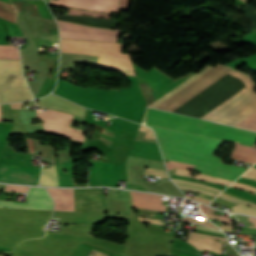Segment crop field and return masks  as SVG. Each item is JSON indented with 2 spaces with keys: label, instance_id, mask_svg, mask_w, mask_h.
<instances>
[{
  "label": "crop field",
  "instance_id": "crop-field-1",
  "mask_svg": "<svg viewBox=\"0 0 256 256\" xmlns=\"http://www.w3.org/2000/svg\"><path fill=\"white\" fill-rule=\"evenodd\" d=\"M186 133L228 141L254 148L256 133L214 123L192 119L147 108L143 121ZM145 125V124H144ZM151 126V125H146ZM151 126L164 158L196 165V171L234 181L247 169L222 164L223 158L213 156L223 142Z\"/></svg>",
  "mask_w": 256,
  "mask_h": 256
},
{
  "label": "crop field",
  "instance_id": "crop-field-2",
  "mask_svg": "<svg viewBox=\"0 0 256 256\" xmlns=\"http://www.w3.org/2000/svg\"><path fill=\"white\" fill-rule=\"evenodd\" d=\"M61 52L99 56L98 68L134 75L129 55L120 54L122 44L61 39Z\"/></svg>",
  "mask_w": 256,
  "mask_h": 256
},
{
  "label": "crop field",
  "instance_id": "crop-field-3",
  "mask_svg": "<svg viewBox=\"0 0 256 256\" xmlns=\"http://www.w3.org/2000/svg\"><path fill=\"white\" fill-rule=\"evenodd\" d=\"M0 81H24V84L23 82H0V102L19 100L22 84L23 89L20 101L31 100L33 98L22 76L20 61L0 60Z\"/></svg>",
  "mask_w": 256,
  "mask_h": 256
},
{
  "label": "crop field",
  "instance_id": "crop-field-4",
  "mask_svg": "<svg viewBox=\"0 0 256 256\" xmlns=\"http://www.w3.org/2000/svg\"><path fill=\"white\" fill-rule=\"evenodd\" d=\"M255 85L238 98L218 110L207 120L228 125H236L244 118L256 111V94L253 92Z\"/></svg>",
  "mask_w": 256,
  "mask_h": 256
},
{
  "label": "crop field",
  "instance_id": "crop-field-5",
  "mask_svg": "<svg viewBox=\"0 0 256 256\" xmlns=\"http://www.w3.org/2000/svg\"><path fill=\"white\" fill-rule=\"evenodd\" d=\"M232 69L222 65H218L208 71L206 74L198 78L196 81L185 87L183 90L172 96L170 99L162 103L157 109L174 111L179 106L190 100L192 97L203 91L205 88L213 84L215 81L226 75Z\"/></svg>",
  "mask_w": 256,
  "mask_h": 256
},
{
  "label": "crop field",
  "instance_id": "crop-field-6",
  "mask_svg": "<svg viewBox=\"0 0 256 256\" xmlns=\"http://www.w3.org/2000/svg\"><path fill=\"white\" fill-rule=\"evenodd\" d=\"M58 21V20H57ZM61 38L117 42L118 30L81 26L73 23L58 21Z\"/></svg>",
  "mask_w": 256,
  "mask_h": 256
},
{
  "label": "crop field",
  "instance_id": "crop-field-7",
  "mask_svg": "<svg viewBox=\"0 0 256 256\" xmlns=\"http://www.w3.org/2000/svg\"><path fill=\"white\" fill-rule=\"evenodd\" d=\"M37 117L43 121L44 128L47 132L81 142H84L86 138L82 135L84 132L70 128L73 118L72 115L48 110L47 112L38 113Z\"/></svg>",
  "mask_w": 256,
  "mask_h": 256
},
{
  "label": "crop field",
  "instance_id": "crop-field-8",
  "mask_svg": "<svg viewBox=\"0 0 256 256\" xmlns=\"http://www.w3.org/2000/svg\"><path fill=\"white\" fill-rule=\"evenodd\" d=\"M75 211L104 213L102 188L75 189Z\"/></svg>",
  "mask_w": 256,
  "mask_h": 256
},
{
  "label": "crop field",
  "instance_id": "crop-field-9",
  "mask_svg": "<svg viewBox=\"0 0 256 256\" xmlns=\"http://www.w3.org/2000/svg\"><path fill=\"white\" fill-rule=\"evenodd\" d=\"M0 182L24 183L37 185L40 169L28 166L0 164Z\"/></svg>",
  "mask_w": 256,
  "mask_h": 256
},
{
  "label": "crop field",
  "instance_id": "crop-field-10",
  "mask_svg": "<svg viewBox=\"0 0 256 256\" xmlns=\"http://www.w3.org/2000/svg\"><path fill=\"white\" fill-rule=\"evenodd\" d=\"M57 165L59 169L60 186H75V179L73 176V162ZM57 165L52 166V168L43 169L39 185L59 186ZM64 169H66V173L62 171Z\"/></svg>",
  "mask_w": 256,
  "mask_h": 256
},
{
  "label": "crop field",
  "instance_id": "crop-field-11",
  "mask_svg": "<svg viewBox=\"0 0 256 256\" xmlns=\"http://www.w3.org/2000/svg\"><path fill=\"white\" fill-rule=\"evenodd\" d=\"M27 195V204L0 201V207L52 210V199L45 188L31 187Z\"/></svg>",
  "mask_w": 256,
  "mask_h": 256
},
{
  "label": "crop field",
  "instance_id": "crop-field-12",
  "mask_svg": "<svg viewBox=\"0 0 256 256\" xmlns=\"http://www.w3.org/2000/svg\"><path fill=\"white\" fill-rule=\"evenodd\" d=\"M38 104L45 108L56 109L59 111H63L69 114L77 115V116H85L86 109L80 107L74 103H71L65 99H62L56 95H49L46 98L39 99Z\"/></svg>",
  "mask_w": 256,
  "mask_h": 256
},
{
  "label": "crop field",
  "instance_id": "crop-field-13",
  "mask_svg": "<svg viewBox=\"0 0 256 256\" xmlns=\"http://www.w3.org/2000/svg\"><path fill=\"white\" fill-rule=\"evenodd\" d=\"M54 199L55 210L74 211V189H48Z\"/></svg>",
  "mask_w": 256,
  "mask_h": 256
},
{
  "label": "crop field",
  "instance_id": "crop-field-14",
  "mask_svg": "<svg viewBox=\"0 0 256 256\" xmlns=\"http://www.w3.org/2000/svg\"><path fill=\"white\" fill-rule=\"evenodd\" d=\"M133 200V207L165 211L161 206L159 195L130 192Z\"/></svg>",
  "mask_w": 256,
  "mask_h": 256
},
{
  "label": "crop field",
  "instance_id": "crop-field-15",
  "mask_svg": "<svg viewBox=\"0 0 256 256\" xmlns=\"http://www.w3.org/2000/svg\"><path fill=\"white\" fill-rule=\"evenodd\" d=\"M98 57L61 53L59 69L76 71L74 63L96 66Z\"/></svg>",
  "mask_w": 256,
  "mask_h": 256
},
{
  "label": "crop field",
  "instance_id": "crop-field-16",
  "mask_svg": "<svg viewBox=\"0 0 256 256\" xmlns=\"http://www.w3.org/2000/svg\"><path fill=\"white\" fill-rule=\"evenodd\" d=\"M50 4L71 7V8L89 9V10L105 12V13H118V7L72 1V0H59V1L50 0Z\"/></svg>",
  "mask_w": 256,
  "mask_h": 256
},
{
  "label": "crop field",
  "instance_id": "crop-field-17",
  "mask_svg": "<svg viewBox=\"0 0 256 256\" xmlns=\"http://www.w3.org/2000/svg\"><path fill=\"white\" fill-rule=\"evenodd\" d=\"M187 238L221 249V243L216 242V241L211 240V239L200 238V237H195V236H190V235H188ZM188 239L186 240V242L190 243L191 245H193L198 250L203 251L204 249H207V250H211V251H214L216 253H220L221 254V250L220 249H217V248H214V247H210V246H207V245H204V244H201V243H198V242H194V241H191V240H188Z\"/></svg>",
  "mask_w": 256,
  "mask_h": 256
},
{
  "label": "crop field",
  "instance_id": "crop-field-18",
  "mask_svg": "<svg viewBox=\"0 0 256 256\" xmlns=\"http://www.w3.org/2000/svg\"><path fill=\"white\" fill-rule=\"evenodd\" d=\"M212 67L206 65L203 69H201L197 74H195L194 76H192L190 79H188L186 82H184L183 84L175 87L173 90H171L168 94H166L164 97L160 98L159 100L155 101L154 103H152L149 107H157L158 105H160L162 102H164L165 100H167L168 98H170L172 95H174L175 93H177L178 91H180L181 89H183L185 86H187L188 84H190L191 82H193L194 80H196L198 77H200L201 75H203L204 73H206L208 70H210Z\"/></svg>",
  "mask_w": 256,
  "mask_h": 256
},
{
  "label": "crop field",
  "instance_id": "crop-field-19",
  "mask_svg": "<svg viewBox=\"0 0 256 256\" xmlns=\"http://www.w3.org/2000/svg\"><path fill=\"white\" fill-rule=\"evenodd\" d=\"M31 141H32L34 152L35 153H37L38 151L42 152L44 159L53 163L54 148L52 146L41 145L40 141H37L34 139H31ZM31 141L30 139H27L30 153L33 154L34 152L32 150Z\"/></svg>",
  "mask_w": 256,
  "mask_h": 256
},
{
  "label": "crop field",
  "instance_id": "crop-field-20",
  "mask_svg": "<svg viewBox=\"0 0 256 256\" xmlns=\"http://www.w3.org/2000/svg\"><path fill=\"white\" fill-rule=\"evenodd\" d=\"M229 75H232L234 77L239 78L247 87L242 89L241 91H239L238 93H236L235 95H233L231 98H229L228 100H226L225 102H223L221 105H219L218 107H216L215 109H213L212 111H210L209 113H207L206 115H204L203 117H201L202 119L207 118L209 115H211L212 113H214L215 111H217L219 108H221L222 106H224L225 104H227L229 101H231L232 99H234L235 97H237L239 94H241L242 92H244L245 90H247L249 87H251L253 84V82L250 80L249 77L233 70L232 72L229 73Z\"/></svg>",
  "mask_w": 256,
  "mask_h": 256
},
{
  "label": "crop field",
  "instance_id": "crop-field-21",
  "mask_svg": "<svg viewBox=\"0 0 256 256\" xmlns=\"http://www.w3.org/2000/svg\"><path fill=\"white\" fill-rule=\"evenodd\" d=\"M11 2L15 5L16 9L18 10V14L42 17L37 6L34 4L13 2V1Z\"/></svg>",
  "mask_w": 256,
  "mask_h": 256
},
{
  "label": "crop field",
  "instance_id": "crop-field-22",
  "mask_svg": "<svg viewBox=\"0 0 256 256\" xmlns=\"http://www.w3.org/2000/svg\"><path fill=\"white\" fill-rule=\"evenodd\" d=\"M0 18L16 23V9L14 6L0 1Z\"/></svg>",
  "mask_w": 256,
  "mask_h": 256
},
{
  "label": "crop field",
  "instance_id": "crop-field-23",
  "mask_svg": "<svg viewBox=\"0 0 256 256\" xmlns=\"http://www.w3.org/2000/svg\"><path fill=\"white\" fill-rule=\"evenodd\" d=\"M190 171L188 170H180V169H176V173L177 175H182V176H189V177H193L190 176ZM195 178H199V179H203V180H207V181H211L214 183H218V184H222V185H226L228 186L229 184H231V181H227V180H223V179H219V178H215V177H211V176H207V175H203V174H199L194 176Z\"/></svg>",
  "mask_w": 256,
  "mask_h": 256
},
{
  "label": "crop field",
  "instance_id": "crop-field-24",
  "mask_svg": "<svg viewBox=\"0 0 256 256\" xmlns=\"http://www.w3.org/2000/svg\"><path fill=\"white\" fill-rule=\"evenodd\" d=\"M0 59H20L18 48L15 46H0Z\"/></svg>",
  "mask_w": 256,
  "mask_h": 256
},
{
  "label": "crop field",
  "instance_id": "crop-field-25",
  "mask_svg": "<svg viewBox=\"0 0 256 256\" xmlns=\"http://www.w3.org/2000/svg\"><path fill=\"white\" fill-rule=\"evenodd\" d=\"M179 188L182 189H187V190H192V191H197V192H202V193H206V194H210L213 196H217L219 194V192L208 189V188H204V187H199V186H194V185H189V184H185V183H178V182H174Z\"/></svg>",
  "mask_w": 256,
  "mask_h": 256
},
{
  "label": "crop field",
  "instance_id": "crop-field-26",
  "mask_svg": "<svg viewBox=\"0 0 256 256\" xmlns=\"http://www.w3.org/2000/svg\"><path fill=\"white\" fill-rule=\"evenodd\" d=\"M232 209V212L256 215V208L247 207L241 204L233 206Z\"/></svg>",
  "mask_w": 256,
  "mask_h": 256
},
{
  "label": "crop field",
  "instance_id": "crop-field-27",
  "mask_svg": "<svg viewBox=\"0 0 256 256\" xmlns=\"http://www.w3.org/2000/svg\"><path fill=\"white\" fill-rule=\"evenodd\" d=\"M68 12H69V14H73V15H91V16H96V17L110 18V15H108V14H102V13H96V12H90V11H80V10L68 9Z\"/></svg>",
  "mask_w": 256,
  "mask_h": 256
},
{
  "label": "crop field",
  "instance_id": "crop-field-28",
  "mask_svg": "<svg viewBox=\"0 0 256 256\" xmlns=\"http://www.w3.org/2000/svg\"><path fill=\"white\" fill-rule=\"evenodd\" d=\"M56 155L59 156L58 163L76 159L75 157L70 158V148H68V147H66V150L56 151Z\"/></svg>",
  "mask_w": 256,
  "mask_h": 256
},
{
  "label": "crop field",
  "instance_id": "crop-field-29",
  "mask_svg": "<svg viewBox=\"0 0 256 256\" xmlns=\"http://www.w3.org/2000/svg\"><path fill=\"white\" fill-rule=\"evenodd\" d=\"M218 197L223 198V199L228 200V201H231V202L236 203V204L242 203V204H246V205H250V206L256 207L255 204H252V203H249V202L237 199L235 197H232V196H229V195H226V194H223V193H221Z\"/></svg>",
  "mask_w": 256,
  "mask_h": 256
},
{
  "label": "crop field",
  "instance_id": "crop-field-30",
  "mask_svg": "<svg viewBox=\"0 0 256 256\" xmlns=\"http://www.w3.org/2000/svg\"><path fill=\"white\" fill-rule=\"evenodd\" d=\"M169 162L170 163H165L168 170H171L173 168H181V169H190V170H192V165L179 163V162H172V161H169Z\"/></svg>",
  "mask_w": 256,
  "mask_h": 256
},
{
  "label": "crop field",
  "instance_id": "crop-field-31",
  "mask_svg": "<svg viewBox=\"0 0 256 256\" xmlns=\"http://www.w3.org/2000/svg\"><path fill=\"white\" fill-rule=\"evenodd\" d=\"M144 174L157 175V176H160V177L168 178L166 172L162 171V170L147 168Z\"/></svg>",
  "mask_w": 256,
  "mask_h": 256
},
{
  "label": "crop field",
  "instance_id": "crop-field-32",
  "mask_svg": "<svg viewBox=\"0 0 256 256\" xmlns=\"http://www.w3.org/2000/svg\"><path fill=\"white\" fill-rule=\"evenodd\" d=\"M28 188H29V187L6 185L4 191H10V192H15V191L27 192Z\"/></svg>",
  "mask_w": 256,
  "mask_h": 256
},
{
  "label": "crop field",
  "instance_id": "crop-field-33",
  "mask_svg": "<svg viewBox=\"0 0 256 256\" xmlns=\"http://www.w3.org/2000/svg\"><path fill=\"white\" fill-rule=\"evenodd\" d=\"M230 186L231 187H235V188H240V189L248 190V191L256 194V188H254V187H250V186H247V185H244V184H240V183H236V182H234Z\"/></svg>",
  "mask_w": 256,
  "mask_h": 256
},
{
  "label": "crop field",
  "instance_id": "crop-field-34",
  "mask_svg": "<svg viewBox=\"0 0 256 256\" xmlns=\"http://www.w3.org/2000/svg\"><path fill=\"white\" fill-rule=\"evenodd\" d=\"M181 220L188 221V222H197V223H200V224H203V225H207V226H211V227L217 228V227H215L213 225L207 224L206 221H202V220H198V219H193V218H189V217H185V216H183ZM217 229H219V228H217Z\"/></svg>",
  "mask_w": 256,
  "mask_h": 256
},
{
  "label": "crop field",
  "instance_id": "crop-field-35",
  "mask_svg": "<svg viewBox=\"0 0 256 256\" xmlns=\"http://www.w3.org/2000/svg\"><path fill=\"white\" fill-rule=\"evenodd\" d=\"M139 130L146 132L144 138L155 139V138H154V135H153V132H152V130H151L150 128L141 125Z\"/></svg>",
  "mask_w": 256,
  "mask_h": 256
},
{
  "label": "crop field",
  "instance_id": "crop-field-36",
  "mask_svg": "<svg viewBox=\"0 0 256 256\" xmlns=\"http://www.w3.org/2000/svg\"><path fill=\"white\" fill-rule=\"evenodd\" d=\"M243 177L251 178L256 180V169L251 168L248 172H246Z\"/></svg>",
  "mask_w": 256,
  "mask_h": 256
},
{
  "label": "crop field",
  "instance_id": "crop-field-37",
  "mask_svg": "<svg viewBox=\"0 0 256 256\" xmlns=\"http://www.w3.org/2000/svg\"><path fill=\"white\" fill-rule=\"evenodd\" d=\"M129 6V0H120V11H127Z\"/></svg>",
  "mask_w": 256,
  "mask_h": 256
},
{
  "label": "crop field",
  "instance_id": "crop-field-38",
  "mask_svg": "<svg viewBox=\"0 0 256 256\" xmlns=\"http://www.w3.org/2000/svg\"><path fill=\"white\" fill-rule=\"evenodd\" d=\"M188 234L196 235V236H202V237H207V238L218 239V240H222V241H226L227 242L226 238L213 237V236H208V235H203V234H198V233H193V232H189Z\"/></svg>",
  "mask_w": 256,
  "mask_h": 256
},
{
  "label": "crop field",
  "instance_id": "crop-field-39",
  "mask_svg": "<svg viewBox=\"0 0 256 256\" xmlns=\"http://www.w3.org/2000/svg\"><path fill=\"white\" fill-rule=\"evenodd\" d=\"M138 219H139V221H144V222H148V223L163 224L161 221H157V220L146 219V218H138Z\"/></svg>",
  "mask_w": 256,
  "mask_h": 256
},
{
  "label": "crop field",
  "instance_id": "crop-field-40",
  "mask_svg": "<svg viewBox=\"0 0 256 256\" xmlns=\"http://www.w3.org/2000/svg\"><path fill=\"white\" fill-rule=\"evenodd\" d=\"M171 179H172V181L187 182V183H191V184H195V185H199V186H204V187L212 188V187H210V186H208V185H203V184H199V183L188 182V181H183V180H178V179H173V178H171ZM212 189H215V188H212ZM215 190H217V191H220V192H221V190H219V189H215Z\"/></svg>",
  "mask_w": 256,
  "mask_h": 256
},
{
  "label": "crop field",
  "instance_id": "crop-field-41",
  "mask_svg": "<svg viewBox=\"0 0 256 256\" xmlns=\"http://www.w3.org/2000/svg\"><path fill=\"white\" fill-rule=\"evenodd\" d=\"M90 139L86 138L85 142L83 143L80 158H82V152H85L87 150L88 144H89Z\"/></svg>",
  "mask_w": 256,
  "mask_h": 256
},
{
  "label": "crop field",
  "instance_id": "crop-field-42",
  "mask_svg": "<svg viewBox=\"0 0 256 256\" xmlns=\"http://www.w3.org/2000/svg\"><path fill=\"white\" fill-rule=\"evenodd\" d=\"M88 256H108V255L103 254V253H101L99 251H96V250L92 249V251L89 253Z\"/></svg>",
  "mask_w": 256,
  "mask_h": 256
},
{
  "label": "crop field",
  "instance_id": "crop-field-43",
  "mask_svg": "<svg viewBox=\"0 0 256 256\" xmlns=\"http://www.w3.org/2000/svg\"><path fill=\"white\" fill-rule=\"evenodd\" d=\"M200 209L202 210V212H206V213H211V214H214L215 210L213 209H210L208 207H205L203 205H200Z\"/></svg>",
  "mask_w": 256,
  "mask_h": 256
},
{
  "label": "crop field",
  "instance_id": "crop-field-44",
  "mask_svg": "<svg viewBox=\"0 0 256 256\" xmlns=\"http://www.w3.org/2000/svg\"><path fill=\"white\" fill-rule=\"evenodd\" d=\"M196 228L202 229V230H206V231L217 232V233H222L223 234V232H220V231H217V230H213V229H210V228H206V227L197 226Z\"/></svg>",
  "mask_w": 256,
  "mask_h": 256
},
{
  "label": "crop field",
  "instance_id": "crop-field-45",
  "mask_svg": "<svg viewBox=\"0 0 256 256\" xmlns=\"http://www.w3.org/2000/svg\"><path fill=\"white\" fill-rule=\"evenodd\" d=\"M22 103L11 104L12 109H21Z\"/></svg>",
  "mask_w": 256,
  "mask_h": 256
},
{
  "label": "crop field",
  "instance_id": "crop-field-46",
  "mask_svg": "<svg viewBox=\"0 0 256 256\" xmlns=\"http://www.w3.org/2000/svg\"><path fill=\"white\" fill-rule=\"evenodd\" d=\"M192 199L198 200V201H201V202H204V203H206V204H209L210 201H211V200H210V201H206L207 199H206V200H203L204 198H203V199H200V198H196V197H194V198H192Z\"/></svg>",
  "mask_w": 256,
  "mask_h": 256
},
{
  "label": "crop field",
  "instance_id": "crop-field-47",
  "mask_svg": "<svg viewBox=\"0 0 256 256\" xmlns=\"http://www.w3.org/2000/svg\"><path fill=\"white\" fill-rule=\"evenodd\" d=\"M206 216H207V217H210V218L218 219V217H217V216H215V215L206 214ZM218 220H219V219H218Z\"/></svg>",
  "mask_w": 256,
  "mask_h": 256
},
{
  "label": "crop field",
  "instance_id": "crop-field-48",
  "mask_svg": "<svg viewBox=\"0 0 256 256\" xmlns=\"http://www.w3.org/2000/svg\"><path fill=\"white\" fill-rule=\"evenodd\" d=\"M76 186H87V184H76Z\"/></svg>",
  "mask_w": 256,
  "mask_h": 256
},
{
  "label": "crop field",
  "instance_id": "crop-field-49",
  "mask_svg": "<svg viewBox=\"0 0 256 256\" xmlns=\"http://www.w3.org/2000/svg\"><path fill=\"white\" fill-rule=\"evenodd\" d=\"M58 158H55V163H57Z\"/></svg>",
  "mask_w": 256,
  "mask_h": 256
},
{
  "label": "crop field",
  "instance_id": "crop-field-50",
  "mask_svg": "<svg viewBox=\"0 0 256 256\" xmlns=\"http://www.w3.org/2000/svg\"><path fill=\"white\" fill-rule=\"evenodd\" d=\"M242 1H244V2H246V3L248 2V1H246V0H242Z\"/></svg>",
  "mask_w": 256,
  "mask_h": 256
},
{
  "label": "crop field",
  "instance_id": "crop-field-51",
  "mask_svg": "<svg viewBox=\"0 0 256 256\" xmlns=\"http://www.w3.org/2000/svg\"><path fill=\"white\" fill-rule=\"evenodd\" d=\"M0 121H1V113H0Z\"/></svg>",
  "mask_w": 256,
  "mask_h": 256
},
{
  "label": "crop field",
  "instance_id": "crop-field-52",
  "mask_svg": "<svg viewBox=\"0 0 256 256\" xmlns=\"http://www.w3.org/2000/svg\"><path fill=\"white\" fill-rule=\"evenodd\" d=\"M186 198L190 199V197H187V196H186Z\"/></svg>",
  "mask_w": 256,
  "mask_h": 256
}]
</instances>
